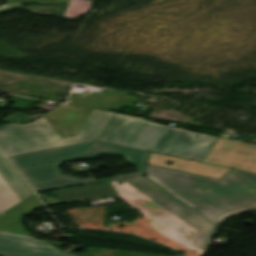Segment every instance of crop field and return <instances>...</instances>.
<instances>
[{
  "mask_svg": "<svg viewBox=\"0 0 256 256\" xmlns=\"http://www.w3.org/2000/svg\"><path fill=\"white\" fill-rule=\"evenodd\" d=\"M0 256H75L49 243L0 234Z\"/></svg>",
  "mask_w": 256,
  "mask_h": 256,
  "instance_id": "7",
  "label": "crop field"
},
{
  "mask_svg": "<svg viewBox=\"0 0 256 256\" xmlns=\"http://www.w3.org/2000/svg\"><path fill=\"white\" fill-rule=\"evenodd\" d=\"M216 137L113 113L96 140L202 162Z\"/></svg>",
  "mask_w": 256,
  "mask_h": 256,
  "instance_id": "5",
  "label": "crop field"
},
{
  "mask_svg": "<svg viewBox=\"0 0 256 256\" xmlns=\"http://www.w3.org/2000/svg\"><path fill=\"white\" fill-rule=\"evenodd\" d=\"M112 113L62 105L31 124L0 126L5 156L97 138Z\"/></svg>",
  "mask_w": 256,
  "mask_h": 256,
  "instance_id": "3",
  "label": "crop field"
},
{
  "mask_svg": "<svg viewBox=\"0 0 256 256\" xmlns=\"http://www.w3.org/2000/svg\"><path fill=\"white\" fill-rule=\"evenodd\" d=\"M111 185L122 201L140 209L153 230L197 254H203L215 228L214 224L145 176L112 182Z\"/></svg>",
  "mask_w": 256,
  "mask_h": 256,
  "instance_id": "1",
  "label": "crop field"
},
{
  "mask_svg": "<svg viewBox=\"0 0 256 256\" xmlns=\"http://www.w3.org/2000/svg\"><path fill=\"white\" fill-rule=\"evenodd\" d=\"M126 94L113 90L104 91V93H85V95L73 93L68 103L104 110H119L118 106L134 107L135 103L139 102L137 96Z\"/></svg>",
  "mask_w": 256,
  "mask_h": 256,
  "instance_id": "8",
  "label": "crop field"
},
{
  "mask_svg": "<svg viewBox=\"0 0 256 256\" xmlns=\"http://www.w3.org/2000/svg\"><path fill=\"white\" fill-rule=\"evenodd\" d=\"M0 174L9 183V185L14 189V191L23 200L31 195L32 192L29 190L27 185L22 181V179L17 175L9 163L0 154ZM24 201V200H23Z\"/></svg>",
  "mask_w": 256,
  "mask_h": 256,
  "instance_id": "13",
  "label": "crop field"
},
{
  "mask_svg": "<svg viewBox=\"0 0 256 256\" xmlns=\"http://www.w3.org/2000/svg\"><path fill=\"white\" fill-rule=\"evenodd\" d=\"M163 162H171L173 163V165L168 166L163 164ZM148 164L170 168L174 170H179V171H184V172H189V173H194V174L212 177L216 179H219L226 172L230 170L229 168L218 167V166L208 165L204 163H199L195 161H190V160H185L181 158L170 157V156H165L160 154H154V153L150 154Z\"/></svg>",
  "mask_w": 256,
  "mask_h": 256,
  "instance_id": "9",
  "label": "crop field"
},
{
  "mask_svg": "<svg viewBox=\"0 0 256 256\" xmlns=\"http://www.w3.org/2000/svg\"><path fill=\"white\" fill-rule=\"evenodd\" d=\"M7 2H8V6H12L16 4L43 3V2H54L56 4L70 3L64 15L67 18H75L76 16L86 12L91 4V1L89 0H7Z\"/></svg>",
  "mask_w": 256,
  "mask_h": 256,
  "instance_id": "12",
  "label": "crop field"
},
{
  "mask_svg": "<svg viewBox=\"0 0 256 256\" xmlns=\"http://www.w3.org/2000/svg\"><path fill=\"white\" fill-rule=\"evenodd\" d=\"M54 194L62 203L87 198H107L119 196L110 183L56 191Z\"/></svg>",
  "mask_w": 256,
  "mask_h": 256,
  "instance_id": "11",
  "label": "crop field"
},
{
  "mask_svg": "<svg viewBox=\"0 0 256 256\" xmlns=\"http://www.w3.org/2000/svg\"><path fill=\"white\" fill-rule=\"evenodd\" d=\"M22 201L0 175V213Z\"/></svg>",
  "mask_w": 256,
  "mask_h": 256,
  "instance_id": "14",
  "label": "crop field"
},
{
  "mask_svg": "<svg viewBox=\"0 0 256 256\" xmlns=\"http://www.w3.org/2000/svg\"><path fill=\"white\" fill-rule=\"evenodd\" d=\"M146 178L214 223L256 207V189L233 174L219 180L147 166Z\"/></svg>",
  "mask_w": 256,
  "mask_h": 256,
  "instance_id": "2",
  "label": "crop field"
},
{
  "mask_svg": "<svg viewBox=\"0 0 256 256\" xmlns=\"http://www.w3.org/2000/svg\"><path fill=\"white\" fill-rule=\"evenodd\" d=\"M204 162L256 173V144L219 138Z\"/></svg>",
  "mask_w": 256,
  "mask_h": 256,
  "instance_id": "6",
  "label": "crop field"
},
{
  "mask_svg": "<svg viewBox=\"0 0 256 256\" xmlns=\"http://www.w3.org/2000/svg\"><path fill=\"white\" fill-rule=\"evenodd\" d=\"M230 171H232L233 173H235L236 175H238L239 177H241L242 179H244L245 181H247L249 184L256 188V174L238 171L234 169H231Z\"/></svg>",
  "mask_w": 256,
  "mask_h": 256,
  "instance_id": "15",
  "label": "crop field"
},
{
  "mask_svg": "<svg viewBox=\"0 0 256 256\" xmlns=\"http://www.w3.org/2000/svg\"><path fill=\"white\" fill-rule=\"evenodd\" d=\"M41 206L43 205L34 195L18 206L2 214L0 216V232L31 236V234H29L20 223V219Z\"/></svg>",
  "mask_w": 256,
  "mask_h": 256,
  "instance_id": "10",
  "label": "crop field"
},
{
  "mask_svg": "<svg viewBox=\"0 0 256 256\" xmlns=\"http://www.w3.org/2000/svg\"><path fill=\"white\" fill-rule=\"evenodd\" d=\"M98 154H119L126 162L137 166L136 173L111 177L98 182L144 175L149 152L98 141L78 143L8 156L7 158L23 175L34 191L92 182L63 175L59 166L63 162L94 158ZM40 192V191H39Z\"/></svg>",
  "mask_w": 256,
  "mask_h": 256,
  "instance_id": "4",
  "label": "crop field"
}]
</instances>
